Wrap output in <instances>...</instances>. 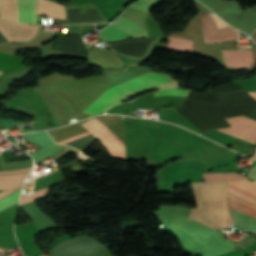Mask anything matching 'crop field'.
Returning <instances> with one entry per match:
<instances>
[{"label": "crop field", "mask_w": 256, "mask_h": 256, "mask_svg": "<svg viewBox=\"0 0 256 256\" xmlns=\"http://www.w3.org/2000/svg\"><path fill=\"white\" fill-rule=\"evenodd\" d=\"M219 225L223 229L233 223L229 208V191L226 181L206 182ZM205 182L191 183L197 208H194L189 218L218 229L210 197ZM230 206L256 217V206L230 194Z\"/></svg>", "instance_id": "obj_1"}, {"label": "crop field", "mask_w": 256, "mask_h": 256, "mask_svg": "<svg viewBox=\"0 0 256 256\" xmlns=\"http://www.w3.org/2000/svg\"><path fill=\"white\" fill-rule=\"evenodd\" d=\"M178 82L167 74L147 72L124 83L107 89L89 107L82 112L91 116L106 111L116 103L124 102L128 98L143 92L162 87H176Z\"/></svg>", "instance_id": "obj_2"}, {"label": "crop field", "mask_w": 256, "mask_h": 256, "mask_svg": "<svg viewBox=\"0 0 256 256\" xmlns=\"http://www.w3.org/2000/svg\"><path fill=\"white\" fill-rule=\"evenodd\" d=\"M157 0H140L131 5V7L143 10L147 12V8ZM111 25L120 28L136 37H143L148 36L146 30L138 27L137 25L131 23L130 21L119 18L118 20L114 21ZM109 25L107 28L100 31L102 38L107 40L119 39L124 37H134L122 30H119L113 26Z\"/></svg>", "instance_id": "obj_3"}, {"label": "crop field", "mask_w": 256, "mask_h": 256, "mask_svg": "<svg viewBox=\"0 0 256 256\" xmlns=\"http://www.w3.org/2000/svg\"><path fill=\"white\" fill-rule=\"evenodd\" d=\"M226 121L232 127L221 128L217 130L255 144L256 121L245 118L243 116L227 118Z\"/></svg>", "instance_id": "obj_4"}, {"label": "crop field", "mask_w": 256, "mask_h": 256, "mask_svg": "<svg viewBox=\"0 0 256 256\" xmlns=\"http://www.w3.org/2000/svg\"><path fill=\"white\" fill-rule=\"evenodd\" d=\"M81 125L87 128L106 148H122L95 118ZM109 151L112 157L125 161V149H109Z\"/></svg>", "instance_id": "obj_5"}, {"label": "crop field", "mask_w": 256, "mask_h": 256, "mask_svg": "<svg viewBox=\"0 0 256 256\" xmlns=\"http://www.w3.org/2000/svg\"><path fill=\"white\" fill-rule=\"evenodd\" d=\"M242 188H245L253 193L256 194V184L246 180V179H242V180H237V181H230ZM230 182H227L228 183V187H229V191L231 194L241 198V199H244L254 205H256V195L245 190V189H242ZM253 182L256 183L255 180H253Z\"/></svg>", "instance_id": "obj_6"}, {"label": "crop field", "mask_w": 256, "mask_h": 256, "mask_svg": "<svg viewBox=\"0 0 256 256\" xmlns=\"http://www.w3.org/2000/svg\"><path fill=\"white\" fill-rule=\"evenodd\" d=\"M226 67H250L253 62L252 50L222 51Z\"/></svg>", "instance_id": "obj_7"}, {"label": "crop field", "mask_w": 256, "mask_h": 256, "mask_svg": "<svg viewBox=\"0 0 256 256\" xmlns=\"http://www.w3.org/2000/svg\"><path fill=\"white\" fill-rule=\"evenodd\" d=\"M16 3L19 21L36 23L37 0H16Z\"/></svg>", "instance_id": "obj_8"}, {"label": "crop field", "mask_w": 256, "mask_h": 256, "mask_svg": "<svg viewBox=\"0 0 256 256\" xmlns=\"http://www.w3.org/2000/svg\"><path fill=\"white\" fill-rule=\"evenodd\" d=\"M38 14L47 13L52 19H65L64 7L49 0H38Z\"/></svg>", "instance_id": "obj_9"}, {"label": "crop field", "mask_w": 256, "mask_h": 256, "mask_svg": "<svg viewBox=\"0 0 256 256\" xmlns=\"http://www.w3.org/2000/svg\"><path fill=\"white\" fill-rule=\"evenodd\" d=\"M192 44H193V41H190V40H186L183 38L170 37V44L168 48L191 51Z\"/></svg>", "instance_id": "obj_10"}, {"label": "crop field", "mask_w": 256, "mask_h": 256, "mask_svg": "<svg viewBox=\"0 0 256 256\" xmlns=\"http://www.w3.org/2000/svg\"><path fill=\"white\" fill-rule=\"evenodd\" d=\"M205 180H232L246 178L237 173H212L203 174Z\"/></svg>", "instance_id": "obj_11"}, {"label": "crop field", "mask_w": 256, "mask_h": 256, "mask_svg": "<svg viewBox=\"0 0 256 256\" xmlns=\"http://www.w3.org/2000/svg\"><path fill=\"white\" fill-rule=\"evenodd\" d=\"M20 189L16 190L15 192L11 193L10 195L0 199V211L18 203Z\"/></svg>", "instance_id": "obj_12"}, {"label": "crop field", "mask_w": 256, "mask_h": 256, "mask_svg": "<svg viewBox=\"0 0 256 256\" xmlns=\"http://www.w3.org/2000/svg\"><path fill=\"white\" fill-rule=\"evenodd\" d=\"M47 189H48V187L44 188V189H41L39 191H36V192H34L30 195L22 197L20 205L24 204V203H27V202H30V201H33V200H36V199L47 197Z\"/></svg>", "instance_id": "obj_13"}, {"label": "crop field", "mask_w": 256, "mask_h": 256, "mask_svg": "<svg viewBox=\"0 0 256 256\" xmlns=\"http://www.w3.org/2000/svg\"><path fill=\"white\" fill-rule=\"evenodd\" d=\"M188 90H180V89H162L155 92L154 96L157 95H187Z\"/></svg>", "instance_id": "obj_14"}, {"label": "crop field", "mask_w": 256, "mask_h": 256, "mask_svg": "<svg viewBox=\"0 0 256 256\" xmlns=\"http://www.w3.org/2000/svg\"><path fill=\"white\" fill-rule=\"evenodd\" d=\"M31 167L29 168H25L22 170H11V171H1L0 174H8V173H22V172H26L29 171Z\"/></svg>", "instance_id": "obj_15"}, {"label": "crop field", "mask_w": 256, "mask_h": 256, "mask_svg": "<svg viewBox=\"0 0 256 256\" xmlns=\"http://www.w3.org/2000/svg\"><path fill=\"white\" fill-rule=\"evenodd\" d=\"M86 134H89V132H88V131H86V132H84V133H82V134H80V135H77V136H74V137H70V138H67V139L61 140V141H59V142H57V143H61V142H64V141H67V140H70V139H73V138H77V137H80V136L86 135Z\"/></svg>", "instance_id": "obj_16"}, {"label": "crop field", "mask_w": 256, "mask_h": 256, "mask_svg": "<svg viewBox=\"0 0 256 256\" xmlns=\"http://www.w3.org/2000/svg\"><path fill=\"white\" fill-rule=\"evenodd\" d=\"M249 176L252 178H256V166H254L253 168H251V171L249 173Z\"/></svg>", "instance_id": "obj_17"}, {"label": "crop field", "mask_w": 256, "mask_h": 256, "mask_svg": "<svg viewBox=\"0 0 256 256\" xmlns=\"http://www.w3.org/2000/svg\"><path fill=\"white\" fill-rule=\"evenodd\" d=\"M12 191H14V190H11V191H2V192H0V198L3 197V196H5V195H7V194H9V193H11Z\"/></svg>", "instance_id": "obj_18"}, {"label": "crop field", "mask_w": 256, "mask_h": 256, "mask_svg": "<svg viewBox=\"0 0 256 256\" xmlns=\"http://www.w3.org/2000/svg\"><path fill=\"white\" fill-rule=\"evenodd\" d=\"M249 94L256 99V92H249Z\"/></svg>", "instance_id": "obj_19"}, {"label": "crop field", "mask_w": 256, "mask_h": 256, "mask_svg": "<svg viewBox=\"0 0 256 256\" xmlns=\"http://www.w3.org/2000/svg\"><path fill=\"white\" fill-rule=\"evenodd\" d=\"M254 158H256V153H255V156H254Z\"/></svg>", "instance_id": "obj_20"}, {"label": "crop field", "mask_w": 256, "mask_h": 256, "mask_svg": "<svg viewBox=\"0 0 256 256\" xmlns=\"http://www.w3.org/2000/svg\"><path fill=\"white\" fill-rule=\"evenodd\" d=\"M0 74H1V72H0Z\"/></svg>", "instance_id": "obj_21"}]
</instances>
